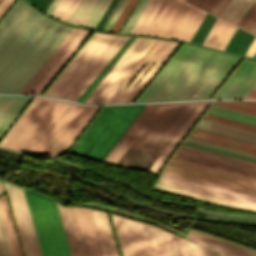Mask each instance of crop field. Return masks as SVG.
<instances>
[{
    "instance_id": "1",
    "label": "crop field",
    "mask_w": 256,
    "mask_h": 256,
    "mask_svg": "<svg viewBox=\"0 0 256 256\" xmlns=\"http://www.w3.org/2000/svg\"><path fill=\"white\" fill-rule=\"evenodd\" d=\"M71 29L18 0L0 22V93H19Z\"/></svg>"
},
{
    "instance_id": "2",
    "label": "crop field",
    "mask_w": 256,
    "mask_h": 256,
    "mask_svg": "<svg viewBox=\"0 0 256 256\" xmlns=\"http://www.w3.org/2000/svg\"><path fill=\"white\" fill-rule=\"evenodd\" d=\"M240 59L183 44L136 102L209 99Z\"/></svg>"
},
{
    "instance_id": "3",
    "label": "crop field",
    "mask_w": 256,
    "mask_h": 256,
    "mask_svg": "<svg viewBox=\"0 0 256 256\" xmlns=\"http://www.w3.org/2000/svg\"><path fill=\"white\" fill-rule=\"evenodd\" d=\"M75 105L35 97L2 139L0 147L40 153Z\"/></svg>"
},
{
    "instance_id": "4",
    "label": "crop field",
    "mask_w": 256,
    "mask_h": 256,
    "mask_svg": "<svg viewBox=\"0 0 256 256\" xmlns=\"http://www.w3.org/2000/svg\"><path fill=\"white\" fill-rule=\"evenodd\" d=\"M187 102L178 103H160V104H147L138 117L134 120L131 126L127 129L121 139L117 142L114 148L110 151L103 163L111 164L116 161L128 143L133 137L143 140L147 143L155 145L162 134L166 131L169 125L173 122L179 112L183 109ZM192 102H188L181 113L177 116L174 122L170 125L164 135L160 138L155 146H159L162 140L170 132L173 126L177 123L180 117L188 109ZM200 102H193V104L199 105ZM191 105V106H192ZM190 106V107H191ZM186 111L183 117L179 120L170 134L166 137L159 148L164 149L168 142L172 139L175 133L183 125L186 119L193 112V108Z\"/></svg>"
},
{
    "instance_id": "5",
    "label": "crop field",
    "mask_w": 256,
    "mask_h": 256,
    "mask_svg": "<svg viewBox=\"0 0 256 256\" xmlns=\"http://www.w3.org/2000/svg\"><path fill=\"white\" fill-rule=\"evenodd\" d=\"M144 105L104 106L70 152L102 162Z\"/></svg>"
},
{
    "instance_id": "6",
    "label": "crop field",
    "mask_w": 256,
    "mask_h": 256,
    "mask_svg": "<svg viewBox=\"0 0 256 256\" xmlns=\"http://www.w3.org/2000/svg\"><path fill=\"white\" fill-rule=\"evenodd\" d=\"M23 193L42 256H71L56 202L26 189Z\"/></svg>"
},
{
    "instance_id": "7",
    "label": "crop field",
    "mask_w": 256,
    "mask_h": 256,
    "mask_svg": "<svg viewBox=\"0 0 256 256\" xmlns=\"http://www.w3.org/2000/svg\"><path fill=\"white\" fill-rule=\"evenodd\" d=\"M112 219L123 256H170L162 230L116 215Z\"/></svg>"
},
{
    "instance_id": "8",
    "label": "crop field",
    "mask_w": 256,
    "mask_h": 256,
    "mask_svg": "<svg viewBox=\"0 0 256 256\" xmlns=\"http://www.w3.org/2000/svg\"><path fill=\"white\" fill-rule=\"evenodd\" d=\"M58 208L72 256H91V254L92 256H104L91 211L88 209L78 208L90 247V254L78 209L63 208L60 205H58Z\"/></svg>"
},
{
    "instance_id": "9",
    "label": "crop field",
    "mask_w": 256,
    "mask_h": 256,
    "mask_svg": "<svg viewBox=\"0 0 256 256\" xmlns=\"http://www.w3.org/2000/svg\"><path fill=\"white\" fill-rule=\"evenodd\" d=\"M155 40L154 38L136 37L84 102L104 103Z\"/></svg>"
},
{
    "instance_id": "10",
    "label": "crop field",
    "mask_w": 256,
    "mask_h": 256,
    "mask_svg": "<svg viewBox=\"0 0 256 256\" xmlns=\"http://www.w3.org/2000/svg\"><path fill=\"white\" fill-rule=\"evenodd\" d=\"M112 36L94 32L43 95L62 98Z\"/></svg>"
},
{
    "instance_id": "11",
    "label": "crop field",
    "mask_w": 256,
    "mask_h": 256,
    "mask_svg": "<svg viewBox=\"0 0 256 256\" xmlns=\"http://www.w3.org/2000/svg\"><path fill=\"white\" fill-rule=\"evenodd\" d=\"M81 31V29L77 28L72 29V31L67 35V37L62 41V43L57 47V49L52 53V55L47 59V61L42 65V67L37 71V73L32 77V79L27 83V85L22 89L20 93H31L36 85L41 81V79L46 75V73L51 69V67L56 63V61L61 57V55L66 51V49L71 45L76 37L81 33ZM90 33V31H82V33L77 37V39L72 43V45L67 49V51L62 55V57L57 61V63L52 67V69L47 73V75L42 79V81L37 85L31 94L42 93V91L57 75L61 68L75 53V51L90 35Z\"/></svg>"
},
{
    "instance_id": "12",
    "label": "crop field",
    "mask_w": 256,
    "mask_h": 256,
    "mask_svg": "<svg viewBox=\"0 0 256 256\" xmlns=\"http://www.w3.org/2000/svg\"><path fill=\"white\" fill-rule=\"evenodd\" d=\"M165 171L256 194V179L254 178L174 158L167 164Z\"/></svg>"
},
{
    "instance_id": "13",
    "label": "crop field",
    "mask_w": 256,
    "mask_h": 256,
    "mask_svg": "<svg viewBox=\"0 0 256 256\" xmlns=\"http://www.w3.org/2000/svg\"><path fill=\"white\" fill-rule=\"evenodd\" d=\"M173 0L154 36L190 41L205 12Z\"/></svg>"
},
{
    "instance_id": "14",
    "label": "crop field",
    "mask_w": 256,
    "mask_h": 256,
    "mask_svg": "<svg viewBox=\"0 0 256 256\" xmlns=\"http://www.w3.org/2000/svg\"><path fill=\"white\" fill-rule=\"evenodd\" d=\"M100 108L77 104L41 154L55 156L66 153Z\"/></svg>"
},
{
    "instance_id": "15",
    "label": "crop field",
    "mask_w": 256,
    "mask_h": 256,
    "mask_svg": "<svg viewBox=\"0 0 256 256\" xmlns=\"http://www.w3.org/2000/svg\"><path fill=\"white\" fill-rule=\"evenodd\" d=\"M157 182L256 207V195L163 171Z\"/></svg>"
},
{
    "instance_id": "16",
    "label": "crop field",
    "mask_w": 256,
    "mask_h": 256,
    "mask_svg": "<svg viewBox=\"0 0 256 256\" xmlns=\"http://www.w3.org/2000/svg\"><path fill=\"white\" fill-rule=\"evenodd\" d=\"M5 187L25 256H41L22 189L8 183H5Z\"/></svg>"
},
{
    "instance_id": "17",
    "label": "crop field",
    "mask_w": 256,
    "mask_h": 256,
    "mask_svg": "<svg viewBox=\"0 0 256 256\" xmlns=\"http://www.w3.org/2000/svg\"><path fill=\"white\" fill-rule=\"evenodd\" d=\"M255 84L256 61L244 59L213 98L244 99Z\"/></svg>"
},
{
    "instance_id": "18",
    "label": "crop field",
    "mask_w": 256,
    "mask_h": 256,
    "mask_svg": "<svg viewBox=\"0 0 256 256\" xmlns=\"http://www.w3.org/2000/svg\"><path fill=\"white\" fill-rule=\"evenodd\" d=\"M129 36H116L109 41L69 91L64 95V99H70L76 101L122 44L127 40Z\"/></svg>"
},
{
    "instance_id": "19",
    "label": "crop field",
    "mask_w": 256,
    "mask_h": 256,
    "mask_svg": "<svg viewBox=\"0 0 256 256\" xmlns=\"http://www.w3.org/2000/svg\"><path fill=\"white\" fill-rule=\"evenodd\" d=\"M170 43V41L157 39L148 55L135 66V68L130 72V74L124 79V81L118 86V88L113 92V94L107 99L105 103H121L136 85L141 75L159 58V56L164 52ZM147 61L148 63L138 74L135 80L124 89L129 80Z\"/></svg>"
},
{
    "instance_id": "20",
    "label": "crop field",
    "mask_w": 256,
    "mask_h": 256,
    "mask_svg": "<svg viewBox=\"0 0 256 256\" xmlns=\"http://www.w3.org/2000/svg\"><path fill=\"white\" fill-rule=\"evenodd\" d=\"M111 0H81L67 22L95 28Z\"/></svg>"
},
{
    "instance_id": "21",
    "label": "crop field",
    "mask_w": 256,
    "mask_h": 256,
    "mask_svg": "<svg viewBox=\"0 0 256 256\" xmlns=\"http://www.w3.org/2000/svg\"><path fill=\"white\" fill-rule=\"evenodd\" d=\"M185 239L218 251L220 256H256V252L189 230Z\"/></svg>"
},
{
    "instance_id": "22",
    "label": "crop field",
    "mask_w": 256,
    "mask_h": 256,
    "mask_svg": "<svg viewBox=\"0 0 256 256\" xmlns=\"http://www.w3.org/2000/svg\"><path fill=\"white\" fill-rule=\"evenodd\" d=\"M137 142V139H135V138H133V140L130 142V144L127 146V148L124 150V152L121 154V156L118 158V160L115 162V164L114 165H116V166H118L120 163H121V161L124 159V157L127 155V153H128V151L134 146V144ZM140 140H138V142L135 144V148H137V146L140 144ZM146 145H147V143H144V142H142L141 144H140V146L137 148V151H140V152H142L143 151V149L146 147ZM156 150V147H154V146H152V145H147V147L144 149V151L141 153V155H140V158H144V159H149L150 157H151V155L153 154V152ZM135 151V149L134 148H132V150L130 151V152H134ZM137 151H135V153L133 154V156H136V157H138L139 156V154H140V152H137ZM129 152V156H131L132 155V153H130ZM162 152V149H159V148H157V150L155 151V153L152 155V157L150 158V160L146 163V161H142V160H139V159H137V161L135 162V160H136V157H133V156H131L130 157V159H129V157L128 156H126V158L123 160V162L121 163V165H123L124 166V164L126 163V161L129 159V161H131V162H135V164L133 165V163H131V162H129V161H127V163L125 164V166L124 167H128V168H133V169H138V170H147L148 169V167L150 166V164L153 162L154 163V161L157 159V157L159 156V154ZM146 163V164H145ZM144 164H145V166H144ZM134 166V167H139V168H142L143 166V168L142 169H139V168H134V167H131V166Z\"/></svg>"
},
{
    "instance_id": "23",
    "label": "crop field",
    "mask_w": 256,
    "mask_h": 256,
    "mask_svg": "<svg viewBox=\"0 0 256 256\" xmlns=\"http://www.w3.org/2000/svg\"><path fill=\"white\" fill-rule=\"evenodd\" d=\"M31 98L30 96H0V138Z\"/></svg>"
},
{
    "instance_id": "24",
    "label": "crop field",
    "mask_w": 256,
    "mask_h": 256,
    "mask_svg": "<svg viewBox=\"0 0 256 256\" xmlns=\"http://www.w3.org/2000/svg\"><path fill=\"white\" fill-rule=\"evenodd\" d=\"M188 138L256 154V144L194 128Z\"/></svg>"
},
{
    "instance_id": "25",
    "label": "crop field",
    "mask_w": 256,
    "mask_h": 256,
    "mask_svg": "<svg viewBox=\"0 0 256 256\" xmlns=\"http://www.w3.org/2000/svg\"><path fill=\"white\" fill-rule=\"evenodd\" d=\"M210 102L211 101L200 103V105L197 107L194 113L190 116L187 122L183 125V127L180 129L177 135L173 138V140L170 142L167 148L163 151L160 157L156 160V162L150 168L149 170L150 172H154V173L158 172V170L161 168L164 162L168 159V157L171 155V153L174 151L177 145L181 142V140L184 138L187 132L191 129V127L194 125V123L197 121L200 115L204 112V110L210 104Z\"/></svg>"
},
{
    "instance_id": "26",
    "label": "crop field",
    "mask_w": 256,
    "mask_h": 256,
    "mask_svg": "<svg viewBox=\"0 0 256 256\" xmlns=\"http://www.w3.org/2000/svg\"><path fill=\"white\" fill-rule=\"evenodd\" d=\"M92 211L98 235L105 256H119L114 242L107 214L99 211Z\"/></svg>"
},
{
    "instance_id": "27",
    "label": "crop field",
    "mask_w": 256,
    "mask_h": 256,
    "mask_svg": "<svg viewBox=\"0 0 256 256\" xmlns=\"http://www.w3.org/2000/svg\"><path fill=\"white\" fill-rule=\"evenodd\" d=\"M165 236L171 256H217L211 251H208L167 232H165Z\"/></svg>"
},
{
    "instance_id": "28",
    "label": "crop field",
    "mask_w": 256,
    "mask_h": 256,
    "mask_svg": "<svg viewBox=\"0 0 256 256\" xmlns=\"http://www.w3.org/2000/svg\"><path fill=\"white\" fill-rule=\"evenodd\" d=\"M180 44L181 43L177 42H172L170 44V46L165 50V52L160 56V58L144 75V77L139 81L133 91L126 97V99L122 103L134 101V99L139 95V93L144 89V87L149 83V81L154 77V75L159 71V69L164 65V63L169 59V57L174 53V51L179 47Z\"/></svg>"
},
{
    "instance_id": "29",
    "label": "crop field",
    "mask_w": 256,
    "mask_h": 256,
    "mask_svg": "<svg viewBox=\"0 0 256 256\" xmlns=\"http://www.w3.org/2000/svg\"><path fill=\"white\" fill-rule=\"evenodd\" d=\"M234 29L235 26L217 18L203 45L223 50Z\"/></svg>"
},
{
    "instance_id": "30",
    "label": "crop field",
    "mask_w": 256,
    "mask_h": 256,
    "mask_svg": "<svg viewBox=\"0 0 256 256\" xmlns=\"http://www.w3.org/2000/svg\"><path fill=\"white\" fill-rule=\"evenodd\" d=\"M196 128L256 143V133L201 119Z\"/></svg>"
},
{
    "instance_id": "31",
    "label": "crop field",
    "mask_w": 256,
    "mask_h": 256,
    "mask_svg": "<svg viewBox=\"0 0 256 256\" xmlns=\"http://www.w3.org/2000/svg\"><path fill=\"white\" fill-rule=\"evenodd\" d=\"M154 188H158V189H162V190L182 194V195H185V196H189V197L209 201V202H212V203H216V204H220V205H224V206H228V207H232V208H236V209H240V210L255 211L256 212V208H254V207L238 204V203H235V202H231V201L211 197V196H208V195H204V194L184 190V189H181V188H177V187H173V186H169V185H165V184H161V183H157V182L155 183Z\"/></svg>"
},
{
    "instance_id": "32",
    "label": "crop field",
    "mask_w": 256,
    "mask_h": 256,
    "mask_svg": "<svg viewBox=\"0 0 256 256\" xmlns=\"http://www.w3.org/2000/svg\"><path fill=\"white\" fill-rule=\"evenodd\" d=\"M178 151L256 171L255 163H251V162H247V161H243V160H239V159H235V158H231V157H227V156H223V155H219V154H215V153H211V152H207V151H203V150H199V149H195V148H191L183 145L179 147Z\"/></svg>"
},
{
    "instance_id": "33",
    "label": "crop field",
    "mask_w": 256,
    "mask_h": 256,
    "mask_svg": "<svg viewBox=\"0 0 256 256\" xmlns=\"http://www.w3.org/2000/svg\"><path fill=\"white\" fill-rule=\"evenodd\" d=\"M0 215L5 228L7 239L13 256H22L15 230L12 224L5 196L0 197Z\"/></svg>"
},
{
    "instance_id": "34",
    "label": "crop field",
    "mask_w": 256,
    "mask_h": 256,
    "mask_svg": "<svg viewBox=\"0 0 256 256\" xmlns=\"http://www.w3.org/2000/svg\"><path fill=\"white\" fill-rule=\"evenodd\" d=\"M174 157L256 178V172H254V171H250V170H246V169H242V168H238V167H234V166H230V165H226V164H222V163H218V162H214V161L178 153V152H176Z\"/></svg>"
},
{
    "instance_id": "35",
    "label": "crop field",
    "mask_w": 256,
    "mask_h": 256,
    "mask_svg": "<svg viewBox=\"0 0 256 256\" xmlns=\"http://www.w3.org/2000/svg\"><path fill=\"white\" fill-rule=\"evenodd\" d=\"M163 0H150L131 33L144 34Z\"/></svg>"
},
{
    "instance_id": "36",
    "label": "crop field",
    "mask_w": 256,
    "mask_h": 256,
    "mask_svg": "<svg viewBox=\"0 0 256 256\" xmlns=\"http://www.w3.org/2000/svg\"><path fill=\"white\" fill-rule=\"evenodd\" d=\"M254 0H231L221 12L223 19L235 24Z\"/></svg>"
},
{
    "instance_id": "37",
    "label": "crop field",
    "mask_w": 256,
    "mask_h": 256,
    "mask_svg": "<svg viewBox=\"0 0 256 256\" xmlns=\"http://www.w3.org/2000/svg\"><path fill=\"white\" fill-rule=\"evenodd\" d=\"M207 114L251 124L256 126V116L216 107V106H210L209 110L207 111Z\"/></svg>"
},
{
    "instance_id": "38",
    "label": "crop field",
    "mask_w": 256,
    "mask_h": 256,
    "mask_svg": "<svg viewBox=\"0 0 256 256\" xmlns=\"http://www.w3.org/2000/svg\"><path fill=\"white\" fill-rule=\"evenodd\" d=\"M212 105L256 115V101H213Z\"/></svg>"
},
{
    "instance_id": "39",
    "label": "crop field",
    "mask_w": 256,
    "mask_h": 256,
    "mask_svg": "<svg viewBox=\"0 0 256 256\" xmlns=\"http://www.w3.org/2000/svg\"><path fill=\"white\" fill-rule=\"evenodd\" d=\"M84 206H89V207H94V208H99V209H104V210H108V211H112V212H115V213H119V214H122V215H126V216H129V217H133V218H136V219H140V220H143V221H146L148 223H151V224H155V225H159L171 232H174L180 236H184V234L172 229V228H169L161 223H158L156 221H153V220H150L148 218H145V217H142V216H139V215H136V214H133V213H129V212H125V211H121V210H117V209H110V208H106V207H103V206H100L98 204H94V203H86V204H82Z\"/></svg>"
},
{
    "instance_id": "40",
    "label": "crop field",
    "mask_w": 256,
    "mask_h": 256,
    "mask_svg": "<svg viewBox=\"0 0 256 256\" xmlns=\"http://www.w3.org/2000/svg\"><path fill=\"white\" fill-rule=\"evenodd\" d=\"M149 0H140L137 6L135 7L134 11L130 15L129 19L127 20L126 24L122 28L121 32L130 33L131 29L135 25L136 21L138 20L139 16L141 15L142 11L146 7Z\"/></svg>"
},
{
    "instance_id": "41",
    "label": "crop field",
    "mask_w": 256,
    "mask_h": 256,
    "mask_svg": "<svg viewBox=\"0 0 256 256\" xmlns=\"http://www.w3.org/2000/svg\"><path fill=\"white\" fill-rule=\"evenodd\" d=\"M171 2H172V0H164L163 4L161 5L157 14L155 15L154 19L152 20L151 24L149 25L148 29L146 30L145 34L153 35L155 29L157 28L158 24L160 23L162 17L164 16V14H165L166 10L168 9L169 5L171 4Z\"/></svg>"
},
{
    "instance_id": "42",
    "label": "crop field",
    "mask_w": 256,
    "mask_h": 256,
    "mask_svg": "<svg viewBox=\"0 0 256 256\" xmlns=\"http://www.w3.org/2000/svg\"><path fill=\"white\" fill-rule=\"evenodd\" d=\"M203 119H207V120H211V121H215V122H219V123H223V124H227V125H231L238 128L256 132L255 126H251V125H247V124H243V123H239V122H235V121H231V120H227V119H223V118H219V117H215L207 114H205Z\"/></svg>"
},
{
    "instance_id": "43",
    "label": "crop field",
    "mask_w": 256,
    "mask_h": 256,
    "mask_svg": "<svg viewBox=\"0 0 256 256\" xmlns=\"http://www.w3.org/2000/svg\"><path fill=\"white\" fill-rule=\"evenodd\" d=\"M183 144L192 146V147H196V148H200V149H204V150H208V151H212V152H216V153H220V154H224V155H228V156H232V157H236V158H240V159H244V160H248V161H252V162H256V159H254V158H250V157H246V156H242V155H238V154H234V153H230V152H226V151H222V150H218V149H214V148H210V147H206V146H202V145H198V144H194V143H190V142H186V141H184Z\"/></svg>"
},
{
    "instance_id": "44",
    "label": "crop field",
    "mask_w": 256,
    "mask_h": 256,
    "mask_svg": "<svg viewBox=\"0 0 256 256\" xmlns=\"http://www.w3.org/2000/svg\"><path fill=\"white\" fill-rule=\"evenodd\" d=\"M136 0H129L127 2V4L125 5L124 9L122 10V12L120 13V15L118 16L117 20L115 21V23L113 24L112 28L110 29V31L112 32H117L118 28L120 27L121 23L123 22V20L125 19L126 15L128 14V12L130 11L131 7L133 6V4L135 3Z\"/></svg>"
},
{
    "instance_id": "45",
    "label": "crop field",
    "mask_w": 256,
    "mask_h": 256,
    "mask_svg": "<svg viewBox=\"0 0 256 256\" xmlns=\"http://www.w3.org/2000/svg\"><path fill=\"white\" fill-rule=\"evenodd\" d=\"M0 256H11L4 228L0 218Z\"/></svg>"
},
{
    "instance_id": "46",
    "label": "crop field",
    "mask_w": 256,
    "mask_h": 256,
    "mask_svg": "<svg viewBox=\"0 0 256 256\" xmlns=\"http://www.w3.org/2000/svg\"><path fill=\"white\" fill-rule=\"evenodd\" d=\"M219 0H186V2L202 8L208 12L217 4Z\"/></svg>"
},
{
    "instance_id": "47",
    "label": "crop field",
    "mask_w": 256,
    "mask_h": 256,
    "mask_svg": "<svg viewBox=\"0 0 256 256\" xmlns=\"http://www.w3.org/2000/svg\"><path fill=\"white\" fill-rule=\"evenodd\" d=\"M255 12H256V0L248 8V10L243 14V16L238 20L236 25L241 26L243 28L245 24L250 20V18L255 14Z\"/></svg>"
},
{
    "instance_id": "48",
    "label": "crop field",
    "mask_w": 256,
    "mask_h": 256,
    "mask_svg": "<svg viewBox=\"0 0 256 256\" xmlns=\"http://www.w3.org/2000/svg\"><path fill=\"white\" fill-rule=\"evenodd\" d=\"M73 0H62L60 4L57 6L55 11L52 13V16L58 17L61 19L63 14L66 12L70 4L72 3Z\"/></svg>"
},
{
    "instance_id": "49",
    "label": "crop field",
    "mask_w": 256,
    "mask_h": 256,
    "mask_svg": "<svg viewBox=\"0 0 256 256\" xmlns=\"http://www.w3.org/2000/svg\"><path fill=\"white\" fill-rule=\"evenodd\" d=\"M186 141H190V142H194V143H198V144H202V145H206V146H210V147H214V148H218V149H222V150H226V151H230V152H234V153H238V154L256 158V155H252V154H248V153H244V152H240V151H236V150H232V149H228V148H224V147H220V146H216V145H212V144H208V143H204V142H200V141H196V140H192V139H188V138H186Z\"/></svg>"
},
{
    "instance_id": "50",
    "label": "crop field",
    "mask_w": 256,
    "mask_h": 256,
    "mask_svg": "<svg viewBox=\"0 0 256 256\" xmlns=\"http://www.w3.org/2000/svg\"><path fill=\"white\" fill-rule=\"evenodd\" d=\"M132 36L124 43V45L119 49V51L114 55V57L109 61V63L104 67V69L99 73V75L94 79V81L89 85V87L84 91V93L79 97L77 102L85 95V93L90 89V87L95 83V81L100 77V75L105 71V69L110 65V63L115 59V57L120 53V51L125 47V45L130 41Z\"/></svg>"
},
{
    "instance_id": "51",
    "label": "crop field",
    "mask_w": 256,
    "mask_h": 256,
    "mask_svg": "<svg viewBox=\"0 0 256 256\" xmlns=\"http://www.w3.org/2000/svg\"><path fill=\"white\" fill-rule=\"evenodd\" d=\"M128 0H123L120 4V6L118 7V9L116 10L115 14L113 15V17L111 18L110 22L108 23V25L106 26L105 30L109 31V29L111 28L112 24L114 23V21L116 20L117 16L119 15V13L121 12V10L123 9L124 5L126 4Z\"/></svg>"
},
{
    "instance_id": "52",
    "label": "crop field",
    "mask_w": 256,
    "mask_h": 256,
    "mask_svg": "<svg viewBox=\"0 0 256 256\" xmlns=\"http://www.w3.org/2000/svg\"><path fill=\"white\" fill-rule=\"evenodd\" d=\"M230 0H220L218 4L213 8V10L210 12L216 16L219 15V13L222 11V9L227 5V3Z\"/></svg>"
},
{
    "instance_id": "53",
    "label": "crop field",
    "mask_w": 256,
    "mask_h": 256,
    "mask_svg": "<svg viewBox=\"0 0 256 256\" xmlns=\"http://www.w3.org/2000/svg\"><path fill=\"white\" fill-rule=\"evenodd\" d=\"M244 29L256 34V14L251 18V20L246 24Z\"/></svg>"
},
{
    "instance_id": "54",
    "label": "crop field",
    "mask_w": 256,
    "mask_h": 256,
    "mask_svg": "<svg viewBox=\"0 0 256 256\" xmlns=\"http://www.w3.org/2000/svg\"><path fill=\"white\" fill-rule=\"evenodd\" d=\"M14 0H0V17Z\"/></svg>"
},
{
    "instance_id": "55",
    "label": "crop field",
    "mask_w": 256,
    "mask_h": 256,
    "mask_svg": "<svg viewBox=\"0 0 256 256\" xmlns=\"http://www.w3.org/2000/svg\"><path fill=\"white\" fill-rule=\"evenodd\" d=\"M80 0H74L73 3L71 4V6L69 7V9L67 10V12L64 14V16L62 17V20L66 21V19L69 17V15L71 14V12L74 10V8L76 7V5L79 3Z\"/></svg>"
},
{
    "instance_id": "56",
    "label": "crop field",
    "mask_w": 256,
    "mask_h": 256,
    "mask_svg": "<svg viewBox=\"0 0 256 256\" xmlns=\"http://www.w3.org/2000/svg\"><path fill=\"white\" fill-rule=\"evenodd\" d=\"M255 52H256V36H255V38H254V40H253L251 46L249 47V49H248L246 55L253 57V55H254Z\"/></svg>"
},
{
    "instance_id": "57",
    "label": "crop field",
    "mask_w": 256,
    "mask_h": 256,
    "mask_svg": "<svg viewBox=\"0 0 256 256\" xmlns=\"http://www.w3.org/2000/svg\"><path fill=\"white\" fill-rule=\"evenodd\" d=\"M61 0H54L51 5L49 6V8L46 10V13L50 14L53 12V10L56 8V6L59 4Z\"/></svg>"
},
{
    "instance_id": "58",
    "label": "crop field",
    "mask_w": 256,
    "mask_h": 256,
    "mask_svg": "<svg viewBox=\"0 0 256 256\" xmlns=\"http://www.w3.org/2000/svg\"><path fill=\"white\" fill-rule=\"evenodd\" d=\"M245 99H256V86L252 89V91L247 95Z\"/></svg>"
},
{
    "instance_id": "59",
    "label": "crop field",
    "mask_w": 256,
    "mask_h": 256,
    "mask_svg": "<svg viewBox=\"0 0 256 256\" xmlns=\"http://www.w3.org/2000/svg\"><path fill=\"white\" fill-rule=\"evenodd\" d=\"M3 193V188H2V184L0 182V194Z\"/></svg>"
},
{
    "instance_id": "60",
    "label": "crop field",
    "mask_w": 256,
    "mask_h": 256,
    "mask_svg": "<svg viewBox=\"0 0 256 256\" xmlns=\"http://www.w3.org/2000/svg\"><path fill=\"white\" fill-rule=\"evenodd\" d=\"M183 1H185V0H183Z\"/></svg>"
}]
</instances>
